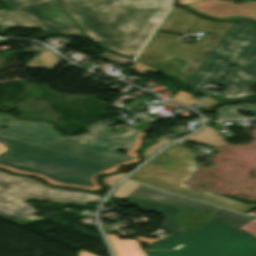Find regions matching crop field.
Masks as SVG:
<instances>
[{
  "label": "crop field",
  "mask_w": 256,
  "mask_h": 256,
  "mask_svg": "<svg viewBox=\"0 0 256 256\" xmlns=\"http://www.w3.org/2000/svg\"><path fill=\"white\" fill-rule=\"evenodd\" d=\"M104 124L99 121L86 127L88 133L79 137H61L50 123L20 121L0 113V127L7 126L0 129V142L9 148L0 155V164L63 183L95 187L91 175L133 159L116 152L130 151L141 131L129 127L112 132Z\"/></svg>",
  "instance_id": "obj_1"
},
{
  "label": "crop field",
  "mask_w": 256,
  "mask_h": 256,
  "mask_svg": "<svg viewBox=\"0 0 256 256\" xmlns=\"http://www.w3.org/2000/svg\"><path fill=\"white\" fill-rule=\"evenodd\" d=\"M36 20L44 34L84 36L56 0H4ZM85 34L108 50L133 58L168 8L169 0H58ZM0 26L41 29L13 9Z\"/></svg>",
  "instance_id": "obj_2"
},
{
  "label": "crop field",
  "mask_w": 256,
  "mask_h": 256,
  "mask_svg": "<svg viewBox=\"0 0 256 256\" xmlns=\"http://www.w3.org/2000/svg\"><path fill=\"white\" fill-rule=\"evenodd\" d=\"M233 23L205 20L172 6L157 30L179 34H183L186 29L220 33L217 36L205 35L206 37L195 44L177 42V36L154 33L137 60L165 71L185 83Z\"/></svg>",
  "instance_id": "obj_3"
},
{
  "label": "crop field",
  "mask_w": 256,
  "mask_h": 256,
  "mask_svg": "<svg viewBox=\"0 0 256 256\" xmlns=\"http://www.w3.org/2000/svg\"><path fill=\"white\" fill-rule=\"evenodd\" d=\"M230 64L238 68L226 69ZM253 81H256V31L250 23L235 22L185 84L208 94L203 87L207 82H215L226 88L212 91L210 96L229 101L255 96L248 87ZM228 89L231 91L227 92Z\"/></svg>",
  "instance_id": "obj_4"
},
{
  "label": "crop field",
  "mask_w": 256,
  "mask_h": 256,
  "mask_svg": "<svg viewBox=\"0 0 256 256\" xmlns=\"http://www.w3.org/2000/svg\"><path fill=\"white\" fill-rule=\"evenodd\" d=\"M176 251H145L147 256H251L256 253V239L233 226L212 218L197 228L165 238L147 249Z\"/></svg>",
  "instance_id": "obj_5"
},
{
  "label": "crop field",
  "mask_w": 256,
  "mask_h": 256,
  "mask_svg": "<svg viewBox=\"0 0 256 256\" xmlns=\"http://www.w3.org/2000/svg\"><path fill=\"white\" fill-rule=\"evenodd\" d=\"M179 149L182 151L178 152ZM195 155L196 153L190 152V149L175 144L153 158L128 178L243 213L255 208L223 196L213 195L211 192H191L192 188L186 186L184 182L197 169L194 162Z\"/></svg>",
  "instance_id": "obj_6"
},
{
  "label": "crop field",
  "mask_w": 256,
  "mask_h": 256,
  "mask_svg": "<svg viewBox=\"0 0 256 256\" xmlns=\"http://www.w3.org/2000/svg\"><path fill=\"white\" fill-rule=\"evenodd\" d=\"M30 198L77 205L102 199L100 195L50 188L32 178L12 176L0 171V217L10 220L37 213L23 202Z\"/></svg>",
  "instance_id": "obj_7"
},
{
  "label": "crop field",
  "mask_w": 256,
  "mask_h": 256,
  "mask_svg": "<svg viewBox=\"0 0 256 256\" xmlns=\"http://www.w3.org/2000/svg\"><path fill=\"white\" fill-rule=\"evenodd\" d=\"M127 197L140 198L144 200L165 203V204L180 206V207L199 210V211H207L237 227L256 218V217H251V216L239 214L236 212H232L229 210L221 209L218 207H214L211 205L203 204L193 200L185 199L182 197H178V196L168 194L162 191H158L142 185L136 188Z\"/></svg>",
  "instance_id": "obj_8"
},
{
  "label": "crop field",
  "mask_w": 256,
  "mask_h": 256,
  "mask_svg": "<svg viewBox=\"0 0 256 256\" xmlns=\"http://www.w3.org/2000/svg\"><path fill=\"white\" fill-rule=\"evenodd\" d=\"M186 6L218 19L248 17L256 20V2L235 5L233 1L203 0Z\"/></svg>",
  "instance_id": "obj_9"
},
{
  "label": "crop field",
  "mask_w": 256,
  "mask_h": 256,
  "mask_svg": "<svg viewBox=\"0 0 256 256\" xmlns=\"http://www.w3.org/2000/svg\"><path fill=\"white\" fill-rule=\"evenodd\" d=\"M125 201L134 203L137 207L141 208L146 212H157L163 214L164 229L169 230L172 235L186 231L185 228L180 224V222L173 216L179 211H181V208L160 205L134 199H128Z\"/></svg>",
  "instance_id": "obj_10"
},
{
  "label": "crop field",
  "mask_w": 256,
  "mask_h": 256,
  "mask_svg": "<svg viewBox=\"0 0 256 256\" xmlns=\"http://www.w3.org/2000/svg\"><path fill=\"white\" fill-rule=\"evenodd\" d=\"M116 256H145L137 240L118 239L117 235L107 234Z\"/></svg>",
  "instance_id": "obj_11"
},
{
  "label": "crop field",
  "mask_w": 256,
  "mask_h": 256,
  "mask_svg": "<svg viewBox=\"0 0 256 256\" xmlns=\"http://www.w3.org/2000/svg\"><path fill=\"white\" fill-rule=\"evenodd\" d=\"M248 111L256 115V106L251 104L225 105L217 110V120H230L237 118H245L238 115L239 111Z\"/></svg>",
  "instance_id": "obj_12"
},
{
  "label": "crop field",
  "mask_w": 256,
  "mask_h": 256,
  "mask_svg": "<svg viewBox=\"0 0 256 256\" xmlns=\"http://www.w3.org/2000/svg\"><path fill=\"white\" fill-rule=\"evenodd\" d=\"M185 140H196L212 147H220L226 143L225 140L214 129L208 126H205L202 131L188 137Z\"/></svg>",
  "instance_id": "obj_13"
},
{
  "label": "crop field",
  "mask_w": 256,
  "mask_h": 256,
  "mask_svg": "<svg viewBox=\"0 0 256 256\" xmlns=\"http://www.w3.org/2000/svg\"><path fill=\"white\" fill-rule=\"evenodd\" d=\"M175 217L181 222L186 229H191L194 226L204 222L205 220L213 217L206 213H199L191 210L184 209L179 212Z\"/></svg>",
  "instance_id": "obj_14"
},
{
  "label": "crop field",
  "mask_w": 256,
  "mask_h": 256,
  "mask_svg": "<svg viewBox=\"0 0 256 256\" xmlns=\"http://www.w3.org/2000/svg\"><path fill=\"white\" fill-rule=\"evenodd\" d=\"M58 61L54 53L45 50L28 62L26 66L31 68L39 66L50 70Z\"/></svg>",
  "instance_id": "obj_15"
},
{
  "label": "crop field",
  "mask_w": 256,
  "mask_h": 256,
  "mask_svg": "<svg viewBox=\"0 0 256 256\" xmlns=\"http://www.w3.org/2000/svg\"><path fill=\"white\" fill-rule=\"evenodd\" d=\"M143 133H144V132L142 131L141 133L138 134L137 140H136V143H135L133 149H132L130 152H128V155L134 156V159H133V160L127 161V162H123V163H119V164L113 166L111 169H109V170H107V171L100 172V173L110 172V171H112L113 169H115V168H116L118 165H120V164H125V163H130V162H132V161H137L138 158H137L136 154L134 153V151H135V149L140 145L141 141H140L139 137H140V135L143 134ZM0 166H1V165H0ZM2 167H5V166H2ZM6 168L11 169V170H14V171H20V170L12 169V168H9V167H6ZM20 172H25V171H20ZM27 173H30V172H27ZM32 174H34V173H32ZM98 174H99V173H98ZM34 175L40 176V175H37V174H34ZM96 175H97V174H96ZM96 175L91 176V180H92V182H93V183L95 184V186H96L95 188L83 187V186H76V185H68V184H63V183H59V182L52 181V180L47 179V178L42 177V176H40V177L46 179L47 181H49V182L52 183V184L66 185V186H75V187H82V188L91 189V190H98V189H99V186H98V184L94 181V177H95Z\"/></svg>",
  "instance_id": "obj_16"
},
{
  "label": "crop field",
  "mask_w": 256,
  "mask_h": 256,
  "mask_svg": "<svg viewBox=\"0 0 256 256\" xmlns=\"http://www.w3.org/2000/svg\"><path fill=\"white\" fill-rule=\"evenodd\" d=\"M138 186L139 184L137 183L125 180L118 186L112 195L115 197H126Z\"/></svg>",
  "instance_id": "obj_17"
},
{
  "label": "crop field",
  "mask_w": 256,
  "mask_h": 256,
  "mask_svg": "<svg viewBox=\"0 0 256 256\" xmlns=\"http://www.w3.org/2000/svg\"><path fill=\"white\" fill-rule=\"evenodd\" d=\"M170 141H171V140L162 138L158 143L149 146V147L146 148L145 151L143 152L144 158L150 156V155H151L152 153H154L157 149H159L161 146H163V145L169 143Z\"/></svg>",
  "instance_id": "obj_18"
},
{
  "label": "crop field",
  "mask_w": 256,
  "mask_h": 256,
  "mask_svg": "<svg viewBox=\"0 0 256 256\" xmlns=\"http://www.w3.org/2000/svg\"><path fill=\"white\" fill-rule=\"evenodd\" d=\"M175 101H178L180 103H183V104H191L192 102H194L195 100L189 98V94L183 92V91H179L178 94L174 97Z\"/></svg>",
  "instance_id": "obj_19"
},
{
  "label": "crop field",
  "mask_w": 256,
  "mask_h": 256,
  "mask_svg": "<svg viewBox=\"0 0 256 256\" xmlns=\"http://www.w3.org/2000/svg\"><path fill=\"white\" fill-rule=\"evenodd\" d=\"M133 66H134V67L131 68V69L136 70L137 73H139V74H145V73H147V72L155 73V72L158 71V70H155V69H153V68L147 67V66H145V65H143V64H141V63H139V62H137V61H135V63H134Z\"/></svg>",
  "instance_id": "obj_20"
},
{
  "label": "crop field",
  "mask_w": 256,
  "mask_h": 256,
  "mask_svg": "<svg viewBox=\"0 0 256 256\" xmlns=\"http://www.w3.org/2000/svg\"><path fill=\"white\" fill-rule=\"evenodd\" d=\"M125 174H116V175H110L108 177L103 178V181L107 187H111L113 184H115L120 178H122ZM102 181V182H103Z\"/></svg>",
  "instance_id": "obj_21"
},
{
  "label": "crop field",
  "mask_w": 256,
  "mask_h": 256,
  "mask_svg": "<svg viewBox=\"0 0 256 256\" xmlns=\"http://www.w3.org/2000/svg\"><path fill=\"white\" fill-rule=\"evenodd\" d=\"M241 229H243L244 231L256 236V219L239 227Z\"/></svg>",
  "instance_id": "obj_22"
},
{
  "label": "crop field",
  "mask_w": 256,
  "mask_h": 256,
  "mask_svg": "<svg viewBox=\"0 0 256 256\" xmlns=\"http://www.w3.org/2000/svg\"><path fill=\"white\" fill-rule=\"evenodd\" d=\"M201 101L205 102V104L203 105V107H208V106H210L211 104H213V103H215V102H218V100L213 99V98H209V97H207V98H205V99H203V100H201Z\"/></svg>",
  "instance_id": "obj_23"
},
{
  "label": "crop field",
  "mask_w": 256,
  "mask_h": 256,
  "mask_svg": "<svg viewBox=\"0 0 256 256\" xmlns=\"http://www.w3.org/2000/svg\"><path fill=\"white\" fill-rule=\"evenodd\" d=\"M78 256H95V255H92V254H89L87 252H84V251H79V255Z\"/></svg>",
  "instance_id": "obj_24"
},
{
  "label": "crop field",
  "mask_w": 256,
  "mask_h": 256,
  "mask_svg": "<svg viewBox=\"0 0 256 256\" xmlns=\"http://www.w3.org/2000/svg\"><path fill=\"white\" fill-rule=\"evenodd\" d=\"M6 150L7 148L4 146V144L0 143V154H2Z\"/></svg>",
  "instance_id": "obj_25"
},
{
  "label": "crop field",
  "mask_w": 256,
  "mask_h": 256,
  "mask_svg": "<svg viewBox=\"0 0 256 256\" xmlns=\"http://www.w3.org/2000/svg\"><path fill=\"white\" fill-rule=\"evenodd\" d=\"M182 4L190 3V2H195L199 0H180Z\"/></svg>",
  "instance_id": "obj_26"
},
{
  "label": "crop field",
  "mask_w": 256,
  "mask_h": 256,
  "mask_svg": "<svg viewBox=\"0 0 256 256\" xmlns=\"http://www.w3.org/2000/svg\"><path fill=\"white\" fill-rule=\"evenodd\" d=\"M254 105H256V103Z\"/></svg>",
  "instance_id": "obj_27"
},
{
  "label": "crop field",
  "mask_w": 256,
  "mask_h": 256,
  "mask_svg": "<svg viewBox=\"0 0 256 256\" xmlns=\"http://www.w3.org/2000/svg\"><path fill=\"white\" fill-rule=\"evenodd\" d=\"M254 256H256V255H254Z\"/></svg>",
  "instance_id": "obj_28"
}]
</instances>
